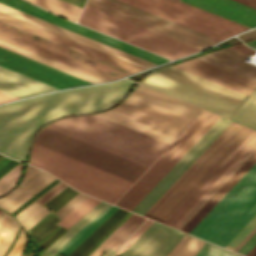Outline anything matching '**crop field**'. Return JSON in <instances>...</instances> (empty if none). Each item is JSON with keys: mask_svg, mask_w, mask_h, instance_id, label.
<instances>
[{"mask_svg": "<svg viewBox=\"0 0 256 256\" xmlns=\"http://www.w3.org/2000/svg\"><path fill=\"white\" fill-rule=\"evenodd\" d=\"M132 84L124 79L0 106V152L24 161L33 133L45 122L107 108L123 98Z\"/></svg>", "mask_w": 256, "mask_h": 256, "instance_id": "1", "label": "crop field"}, {"mask_svg": "<svg viewBox=\"0 0 256 256\" xmlns=\"http://www.w3.org/2000/svg\"><path fill=\"white\" fill-rule=\"evenodd\" d=\"M0 40L105 81L145 69L3 13Z\"/></svg>", "mask_w": 256, "mask_h": 256, "instance_id": "2", "label": "crop field"}, {"mask_svg": "<svg viewBox=\"0 0 256 256\" xmlns=\"http://www.w3.org/2000/svg\"><path fill=\"white\" fill-rule=\"evenodd\" d=\"M48 127L147 168L169 146L96 115L60 120Z\"/></svg>", "mask_w": 256, "mask_h": 256, "instance_id": "3", "label": "crop field"}, {"mask_svg": "<svg viewBox=\"0 0 256 256\" xmlns=\"http://www.w3.org/2000/svg\"><path fill=\"white\" fill-rule=\"evenodd\" d=\"M251 131L232 122L144 216L164 223Z\"/></svg>", "mask_w": 256, "mask_h": 256, "instance_id": "4", "label": "crop field"}, {"mask_svg": "<svg viewBox=\"0 0 256 256\" xmlns=\"http://www.w3.org/2000/svg\"><path fill=\"white\" fill-rule=\"evenodd\" d=\"M30 164L43 168L74 188L114 203L133 182L34 142Z\"/></svg>", "mask_w": 256, "mask_h": 256, "instance_id": "5", "label": "crop field"}, {"mask_svg": "<svg viewBox=\"0 0 256 256\" xmlns=\"http://www.w3.org/2000/svg\"><path fill=\"white\" fill-rule=\"evenodd\" d=\"M256 213V163L190 232L224 247Z\"/></svg>", "mask_w": 256, "mask_h": 256, "instance_id": "6", "label": "crop field"}, {"mask_svg": "<svg viewBox=\"0 0 256 256\" xmlns=\"http://www.w3.org/2000/svg\"><path fill=\"white\" fill-rule=\"evenodd\" d=\"M141 83L231 118L247 96L170 66Z\"/></svg>", "mask_w": 256, "mask_h": 256, "instance_id": "7", "label": "crop field"}, {"mask_svg": "<svg viewBox=\"0 0 256 256\" xmlns=\"http://www.w3.org/2000/svg\"><path fill=\"white\" fill-rule=\"evenodd\" d=\"M78 23L169 59L199 51L86 5Z\"/></svg>", "mask_w": 256, "mask_h": 256, "instance_id": "8", "label": "crop field"}, {"mask_svg": "<svg viewBox=\"0 0 256 256\" xmlns=\"http://www.w3.org/2000/svg\"><path fill=\"white\" fill-rule=\"evenodd\" d=\"M218 118L203 111L116 204L132 210Z\"/></svg>", "mask_w": 256, "mask_h": 256, "instance_id": "9", "label": "crop field"}, {"mask_svg": "<svg viewBox=\"0 0 256 256\" xmlns=\"http://www.w3.org/2000/svg\"><path fill=\"white\" fill-rule=\"evenodd\" d=\"M86 5L199 50L219 41L116 0H87Z\"/></svg>", "mask_w": 256, "mask_h": 256, "instance_id": "10", "label": "crop field"}, {"mask_svg": "<svg viewBox=\"0 0 256 256\" xmlns=\"http://www.w3.org/2000/svg\"><path fill=\"white\" fill-rule=\"evenodd\" d=\"M34 141L131 181L145 169L46 127Z\"/></svg>", "mask_w": 256, "mask_h": 256, "instance_id": "11", "label": "crop field"}, {"mask_svg": "<svg viewBox=\"0 0 256 256\" xmlns=\"http://www.w3.org/2000/svg\"><path fill=\"white\" fill-rule=\"evenodd\" d=\"M219 40L242 31L220 20L168 0H119Z\"/></svg>", "mask_w": 256, "mask_h": 256, "instance_id": "12", "label": "crop field"}, {"mask_svg": "<svg viewBox=\"0 0 256 256\" xmlns=\"http://www.w3.org/2000/svg\"><path fill=\"white\" fill-rule=\"evenodd\" d=\"M256 162V140L174 226L189 233Z\"/></svg>", "mask_w": 256, "mask_h": 256, "instance_id": "13", "label": "crop field"}, {"mask_svg": "<svg viewBox=\"0 0 256 256\" xmlns=\"http://www.w3.org/2000/svg\"><path fill=\"white\" fill-rule=\"evenodd\" d=\"M230 123L220 117L132 211L143 215Z\"/></svg>", "mask_w": 256, "mask_h": 256, "instance_id": "14", "label": "crop field"}, {"mask_svg": "<svg viewBox=\"0 0 256 256\" xmlns=\"http://www.w3.org/2000/svg\"><path fill=\"white\" fill-rule=\"evenodd\" d=\"M0 66L6 67L59 89L90 84V82L69 75L1 47Z\"/></svg>", "mask_w": 256, "mask_h": 256, "instance_id": "15", "label": "crop field"}, {"mask_svg": "<svg viewBox=\"0 0 256 256\" xmlns=\"http://www.w3.org/2000/svg\"><path fill=\"white\" fill-rule=\"evenodd\" d=\"M0 2L3 3V4L9 5L11 7H14L16 9H19L21 11H24L26 13H29L31 15L42 18L44 20H47L49 22H52L54 24H57L59 26H62V27H65L67 29H70L72 31H75L77 33H80L82 35H85L87 37L98 40L100 42H103V43L108 44L110 46H113L115 48L121 49L123 51L131 53V54L136 55L138 57H141L143 59L149 60V61L154 62L156 64H160V63L168 61V59H166V58L160 57V56L155 55L153 53H150V52H147V51L142 50L140 48L129 45L127 43L121 42V41L116 40L114 38H111L109 36L103 35L101 33L90 30L88 28L77 25L75 23L66 21L64 19H59V18L49 14L48 12H46L42 9H39L37 7L31 6V5L25 3L21 0H0Z\"/></svg>", "mask_w": 256, "mask_h": 256, "instance_id": "16", "label": "crop field"}, {"mask_svg": "<svg viewBox=\"0 0 256 256\" xmlns=\"http://www.w3.org/2000/svg\"><path fill=\"white\" fill-rule=\"evenodd\" d=\"M113 110L177 136H179V134L191 123L189 120L144 103L130 96H128L117 107L113 108Z\"/></svg>", "mask_w": 256, "mask_h": 256, "instance_id": "17", "label": "crop field"}, {"mask_svg": "<svg viewBox=\"0 0 256 256\" xmlns=\"http://www.w3.org/2000/svg\"><path fill=\"white\" fill-rule=\"evenodd\" d=\"M182 235L154 222L121 256H166Z\"/></svg>", "mask_w": 256, "mask_h": 256, "instance_id": "18", "label": "crop field"}, {"mask_svg": "<svg viewBox=\"0 0 256 256\" xmlns=\"http://www.w3.org/2000/svg\"><path fill=\"white\" fill-rule=\"evenodd\" d=\"M0 12L11 15V16L16 17L18 19H21L23 21L29 22V23L34 24L36 26L42 27V28L47 29L49 31L55 32V33L60 34L62 36L68 37V38L73 39L75 41H78L80 43L86 44L88 46H91L93 48L99 49V50L104 51L106 53L112 54V55L117 56L119 58H122L124 60L130 61V62L135 63V64L140 65V66H143L145 68L156 65V64L151 63L149 61L143 60L141 58H138L136 56H133V55L128 54L126 52H123L121 50L115 49L113 47H110L108 45H105L103 43L95 41L93 39L87 38L85 36H82L80 34H77L75 32L67 30L65 28L59 27L57 25H54L52 23H49V22L44 21L42 19H39L37 17L31 16L29 14H26L24 12H21V11L16 10L14 8H11L9 6L3 5L1 3H0Z\"/></svg>", "mask_w": 256, "mask_h": 256, "instance_id": "19", "label": "crop field"}, {"mask_svg": "<svg viewBox=\"0 0 256 256\" xmlns=\"http://www.w3.org/2000/svg\"><path fill=\"white\" fill-rule=\"evenodd\" d=\"M173 66L208 79L212 82L230 88L247 96H249L253 89L256 87L255 82L210 65L196 58Z\"/></svg>", "mask_w": 256, "mask_h": 256, "instance_id": "20", "label": "crop field"}, {"mask_svg": "<svg viewBox=\"0 0 256 256\" xmlns=\"http://www.w3.org/2000/svg\"><path fill=\"white\" fill-rule=\"evenodd\" d=\"M54 179L47 172L27 165L21 184L0 199V207L11 213Z\"/></svg>", "mask_w": 256, "mask_h": 256, "instance_id": "21", "label": "crop field"}, {"mask_svg": "<svg viewBox=\"0 0 256 256\" xmlns=\"http://www.w3.org/2000/svg\"><path fill=\"white\" fill-rule=\"evenodd\" d=\"M130 96L145 101L149 104L177 114L181 117L193 121L202 111L192 105L179 101L163 93L150 89L139 84Z\"/></svg>", "mask_w": 256, "mask_h": 256, "instance_id": "22", "label": "crop field"}, {"mask_svg": "<svg viewBox=\"0 0 256 256\" xmlns=\"http://www.w3.org/2000/svg\"><path fill=\"white\" fill-rule=\"evenodd\" d=\"M249 27L256 26V10L232 0H182Z\"/></svg>", "mask_w": 256, "mask_h": 256, "instance_id": "23", "label": "crop field"}, {"mask_svg": "<svg viewBox=\"0 0 256 256\" xmlns=\"http://www.w3.org/2000/svg\"><path fill=\"white\" fill-rule=\"evenodd\" d=\"M0 90L22 98L59 89L0 67Z\"/></svg>", "mask_w": 256, "mask_h": 256, "instance_id": "24", "label": "crop field"}, {"mask_svg": "<svg viewBox=\"0 0 256 256\" xmlns=\"http://www.w3.org/2000/svg\"><path fill=\"white\" fill-rule=\"evenodd\" d=\"M256 139V131H252L245 140L227 157V159L210 175V177L192 194V196L166 222L173 226L183 214L205 193V191L228 169V167Z\"/></svg>", "mask_w": 256, "mask_h": 256, "instance_id": "25", "label": "crop field"}, {"mask_svg": "<svg viewBox=\"0 0 256 256\" xmlns=\"http://www.w3.org/2000/svg\"><path fill=\"white\" fill-rule=\"evenodd\" d=\"M196 58L256 81V66L243 61L246 56L228 48L210 52Z\"/></svg>", "mask_w": 256, "mask_h": 256, "instance_id": "26", "label": "crop field"}, {"mask_svg": "<svg viewBox=\"0 0 256 256\" xmlns=\"http://www.w3.org/2000/svg\"><path fill=\"white\" fill-rule=\"evenodd\" d=\"M97 115L107 118L109 120H112L114 122H117L119 124H122L124 126H127L129 128H132L134 130H137L139 132H142L144 134H147L149 136H152L154 138H157L159 140H162L164 142H167L169 144H171L177 138V136L175 135H172L170 133H167L165 131H162L160 129L147 125L143 122H140L138 120H135L133 118L120 114L118 112H115L113 110H109Z\"/></svg>", "mask_w": 256, "mask_h": 256, "instance_id": "27", "label": "crop field"}, {"mask_svg": "<svg viewBox=\"0 0 256 256\" xmlns=\"http://www.w3.org/2000/svg\"><path fill=\"white\" fill-rule=\"evenodd\" d=\"M143 220L144 218L132 214L90 256H101L108 248L115 250Z\"/></svg>", "mask_w": 256, "mask_h": 256, "instance_id": "28", "label": "crop field"}, {"mask_svg": "<svg viewBox=\"0 0 256 256\" xmlns=\"http://www.w3.org/2000/svg\"><path fill=\"white\" fill-rule=\"evenodd\" d=\"M108 203L101 201L85 216L70 227L61 235L51 246H49L40 256H54L55 252L62 247L72 236H74L82 227H84L93 217H95Z\"/></svg>", "mask_w": 256, "mask_h": 256, "instance_id": "29", "label": "crop field"}, {"mask_svg": "<svg viewBox=\"0 0 256 256\" xmlns=\"http://www.w3.org/2000/svg\"><path fill=\"white\" fill-rule=\"evenodd\" d=\"M59 183H61V181ZM59 183H57L55 186H57ZM55 186H53L51 189H53ZM65 187H67V185ZM65 187H63L61 190H63ZM51 189H49L47 192H45L34 202H32L29 206H27L23 211H21L18 215L15 216L26 231L50 212L49 209L42 206L44 203L41 205L36 201L40 199L42 196H44L46 193H48ZM60 191H58L57 193H59ZM55 195H53L52 197H54Z\"/></svg>", "mask_w": 256, "mask_h": 256, "instance_id": "30", "label": "crop field"}, {"mask_svg": "<svg viewBox=\"0 0 256 256\" xmlns=\"http://www.w3.org/2000/svg\"><path fill=\"white\" fill-rule=\"evenodd\" d=\"M0 46H1V47H4V48H6V49H9V50H11V51H14V52H16V53H19V54H21V55H24V56H26V57L32 58V59H34V60H37V61H39V62H42V63H44V64H47V65H49V66H52V67H54V68H57V69H59V70H62V71H64V72H67V73H69V74H72V75H75V76L80 77V78H82V79H85V80H87V81H90V82H92V83L105 82V81L100 80V79H98V78L92 77V76H90V75H87V74L82 73V72H80V71H77V70H75V69L69 68V67H67V66H64V65H62V64H59V63L54 62V61H52V60L46 59V58H44V57H41V56L36 55V54H34V53H31V52H29V51H26V50H23V49L18 48V47H16V46H13V45H11V44H8V43H6V42L0 41Z\"/></svg>", "mask_w": 256, "mask_h": 256, "instance_id": "31", "label": "crop field"}, {"mask_svg": "<svg viewBox=\"0 0 256 256\" xmlns=\"http://www.w3.org/2000/svg\"><path fill=\"white\" fill-rule=\"evenodd\" d=\"M61 16L76 21L81 7L63 0H28Z\"/></svg>", "mask_w": 256, "mask_h": 256, "instance_id": "32", "label": "crop field"}, {"mask_svg": "<svg viewBox=\"0 0 256 256\" xmlns=\"http://www.w3.org/2000/svg\"><path fill=\"white\" fill-rule=\"evenodd\" d=\"M249 98L234 115L232 120L256 129V89L251 93Z\"/></svg>", "mask_w": 256, "mask_h": 256, "instance_id": "33", "label": "crop field"}, {"mask_svg": "<svg viewBox=\"0 0 256 256\" xmlns=\"http://www.w3.org/2000/svg\"><path fill=\"white\" fill-rule=\"evenodd\" d=\"M205 241L184 234L167 256H195Z\"/></svg>", "mask_w": 256, "mask_h": 256, "instance_id": "34", "label": "crop field"}, {"mask_svg": "<svg viewBox=\"0 0 256 256\" xmlns=\"http://www.w3.org/2000/svg\"><path fill=\"white\" fill-rule=\"evenodd\" d=\"M119 209H120V208H119ZM119 209H118V210H119ZM118 210H116L114 213H116ZM125 212H126V210L120 209L115 215H113V214H114V213H113V214H112L113 216H112V215H111L112 217L110 216L111 218L108 217V218L104 221V222H106V221L110 218L106 223L103 222L104 224L102 223L103 225L101 224L102 226L100 225L101 227L99 226L100 228L98 227L99 229L97 228L98 230H96L95 232L93 231V232H94L95 234L101 236V235H102L115 221H117ZM127 212H128V211H127ZM127 212H126V213H127ZM126 213H125V214H126ZM125 214H124V215H125ZM124 215H123V216H124ZM123 216H122V217H123ZM114 224H115V223H114ZM114 224H113V225H114ZM113 225H112V226H113ZM112 226H111V227H112ZM111 227H110V228H111ZM110 228H109V229H110ZM109 229H108V230H109ZM95 234L92 235V233H91L89 236H91V235H92V236H91V237L88 236L89 238L87 237L88 239L86 238L87 240L85 239L86 241L84 240L85 242L83 241L84 243L82 242L83 244L81 243L82 245L80 244L81 246L79 245L80 247L78 246L79 248L77 247L78 249L76 248L77 250L75 249L76 251L74 250L75 252L73 251L74 253L72 252L73 254L71 253L72 255H70V256H80V255H81L98 237H99V236H97V235H95ZM98 239H99V238H98ZM98 239H97V240H98ZM97 240H96V241H97ZM95 243H96V242H95ZM95 243H94V244H95ZM82 255H83V254H82ZM82 255H81V256H82Z\"/></svg>", "mask_w": 256, "mask_h": 256, "instance_id": "35", "label": "crop field"}, {"mask_svg": "<svg viewBox=\"0 0 256 256\" xmlns=\"http://www.w3.org/2000/svg\"><path fill=\"white\" fill-rule=\"evenodd\" d=\"M99 202L100 200L89 197L80 206L61 219L57 225L64 226L68 229Z\"/></svg>", "mask_w": 256, "mask_h": 256, "instance_id": "36", "label": "crop field"}, {"mask_svg": "<svg viewBox=\"0 0 256 256\" xmlns=\"http://www.w3.org/2000/svg\"><path fill=\"white\" fill-rule=\"evenodd\" d=\"M117 207H112L105 214H103L98 220H96L91 226H89L84 232H82L71 244H69L61 254L67 256L89 233H91L100 223H102Z\"/></svg>", "mask_w": 256, "mask_h": 256, "instance_id": "37", "label": "crop field"}, {"mask_svg": "<svg viewBox=\"0 0 256 256\" xmlns=\"http://www.w3.org/2000/svg\"><path fill=\"white\" fill-rule=\"evenodd\" d=\"M22 164H18L11 171H9L6 175L0 178V195L8 191L17 181Z\"/></svg>", "mask_w": 256, "mask_h": 256, "instance_id": "38", "label": "crop field"}, {"mask_svg": "<svg viewBox=\"0 0 256 256\" xmlns=\"http://www.w3.org/2000/svg\"><path fill=\"white\" fill-rule=\"evenodd\" d=\"M196 256H241L231 251L225 250L208 242L201 248Z\"/></svg>", "mask_w": 256, "mask_h": 256, "instance_id": "39", "label": "crop field"}, {"mask_svg": "<svg viewBox=\"0 0 256 256\" xmlns=\"http://www.w3.org/2000/svg\"><path fill=\"white\" fill-rule=\"evenodd\" d=\"M255 226L256 215L235 235L225 248L233 250Z\"/></svg>", "mask_w": 256, "mask_h": 256, "instance_id": "40", "label": "crop field"}, {"mask_svg": "<svg viewBox=\"0 0 256 256\" xmlns=\"http://www.w3.org/2000/svg\"><path fill=\"white\" fill-rule=\"evenodd\" d=\"M152 223L153 221L147 219L113 256L121 255Z\"/></svg>", "mask_w": 256, "mask_h": 256, "instance_id": "41", "label": "crop field"}, {"mask_svg": "<svg viewBox=\"0 0 256 256\" xmlns=\"http://www.w3.org/2000/svg\"><path fill=\"white\" fill-rule=\"evenodd\" d=\"M68 187H69V186H68ZM68 187H67V188H68ZM67 188H65V189H67ZM65 189H64V190H65ZM64 190H63V191H64ZM71 190H72V188L70 187V188H68V189H67L66 191H64V192L61 191V192H63V193L60 192V193H61V194L59 193L60 195H59V194L56 195V196L59 195L57 198H55L56 196L54 197L55 199L52 198L50 201H52L53 199H54V200H53L51 203H49L50 201H48L46 204H48V203H49V204H48L46 207L49 208L51 205H53L55 202H57L59 199H61L63 196H65V195H66L69 191H71ZM75 192H77V191H75V190L73 189L71 192H69L65 197H63L61 200H59L57 203H55V204H54L53 206H51L49 209L53 211L58 205H60L64 200H66L68 197H70V196H71L72 194H74ZM76 194H78V192L75 193L74 195H72L70 198H68V199H67L65 202H63L60 206H58V207L54 210V212H55L56 210H58L61 206H63L66 202H68L71 198H73ZM46 204H44V206H45Z\"/></svg>", "mask_w": 256, "mask_h": 256, "instance_id": "42", "label": "crop field"}, {"mask_svg": "<svg viewBox=\"0 0 256 256\" xmlns=\"http://www.w3.org/2000/svg\"><path fill=\"white\" fill-rule=\"evenodd\" d=\"M86 198H87V196L79 193L78 195H76L73 199H71L68 203H66L63 207H61L55 213L58 214L60 216V218H62L67 213H69L71 210H73L75 207H77L79 204H81Z\"/></svg>", "mask_w": 256, "mask_h": 256, "instance_id": "43", "label": "crop field"}, {"mask_svg": "<svg viewBox=\"0 0 256 256\" xmlns=\"http://www.w3.org/2000/svg\"><path fill=\"white\" fill-rule=\"evenodd\" d=\"M19 224L17 223V221L14 219L9 231L7 232L2 244L0 245V256L3 255V253L6 251V249L8 248V246L10 245V243L12 242L18 228H19Z\"/></svg>", "mask_w": 256, "mask_h": 256, "instance_id": "44", "label": "crop field"}, {"mask_svg": "<svg viewBox=\"0 0 256 256\" xmlns=\"http://www.w3.org/2000/svg\"><path fill=\"white\" fill-rule=\"evenodd\" d=\"M24 245H25V233L22 230V232H21V234H20V236H19L15 246L13 247L11 252L8 254V256H20Z\"/></svg>", "mask_w": 256, "mask_h": 256, "instance_id": "45", "label": "crop field"}, {"mask_svg": "<svg viewBox=\"0 0 256 256\" xmlns=\"http://www.w3.org/2000/svg\"><path fill=\"white\" fill-rule=\"evenodd\" d=\"M112 205H108L103 209L94 219H92L84 228H82L73 238H71L62 248H60L56 253L59 254L69 243H71L83 230H85L89 225H91L96 219H98L103 213H105ZM84 232V231H83Z\"/></svg>", "mask_w": 256, "mask_h": 256, "instance_id": "46", "label": "crop field"}, {"mask_svg": "<svg viewBox=\"0 0 256 256\" xmlns=\"http://www.w3.org/2000/svg\"><path fill=\"white\" fill-rule=\"evenodd\" d=\"M256 244V233L246 242V244L238 251L245 255Z\"/></svg>", "mask_w": 256, "mask_h": 256, "instance_id": "47", "label": "crop field"}, {"mask_svg": "<svg viewBox=\"0 0 256 256\" xmlns=\"http://www.w3.org/2000/svg\"><path fill=\"white\" fill-rule=\"evenodd\" d=\"M245 46L243 44H240V45H236V46H232V47H228V48H230L232 50H235V51H237L239 53H242V54H244L246 56L248 54H250V55L254 54V52H255L254 50H251V49H249V48H247Z\"/></svg>", "mask_w": 256, "mask_h": 256, "instance_id": "48", "label": "crop field"}, {"mask_svg": "<svg viewBox=\"0 0 256 256\" xmlns=\"http://www.w3.org/2000/svg\"><path fill=\"white\" fill-rule=\"evenodd\" d=\"M177 3L182 4V5H184V6H187V7H189V8L195 9V10H197V11H200V12H202V13H205V14H207V15H210V16H212V17H215V18H217V19H220V20H222V21H225V22H227V23L233 24V25L238 26V27H240V28H243V29H245V30L248 29V28H246V27L240 26V25H238V24H235V23L230 22V21H228V20L222 19V18L217 17V16H215V15H212V14H210V13L204 12V11L199 10V9H197V8H194V7H192V6H189V5H186V4H184V3H181V2H179V1H177Z\"/></svg>", "mask_w": 256, "mask_h": 256, "instance_id": "49", "label": "crop field"}, {"mask_svg": "<svg viewBox=\"0 0 256 256\" xmlns=\"http://www.w3.org/2000/svg\"><path fill=\"white\" fill-rule=\"evenodd\" d=\"M65 185L66 184H64L62 182L57 187H55L53 190H51L48 194H46L44 197H42L40 200H38L37 202L42 204L43 202H45L48 198H50L53 194H55L58 190H60Z\"/></svg>", "mask_w": 256, "mask_h": 256, "instance_id": "50", "label": "crop field"}, {"mask_svg": "<svg viewBox=\"0 0 256 256\" xmlns=\"http://www.w3.org/2000/svg\"><path fill=\"white\" fill-rule=\"evenodd\" d=\"M238 37H239L242 41L256 38V29H253V30H251V31L245 32V33H243V34H240Z\"/></svg>", "mask_w": 256, "mask_h": 256, "instance_id": "51", "label": "crop field"}, {"mask_svg": "<svg viewBox=\"0 0 256 256\" xmlns=\"http://www.w3.org/2000/svg\"><path fill=\"white\" fill-rule=\"evenodd\" d=\"M19 162L12 160L9 162L7 165H5L1 170H0V177L3 176L5 173H7L10 169H12L16 164Z\"/></svg>", "mask_w": 256, "mask_h": 256, "instance_id": "52", "label": "crop field"}, {"mask_svg": "<svg viewBox=\"0 0 256 256\" xmlns=\"http://www.w3.org/2000/svg\"><path fill=\"white\" fill-rule=\"evenodd\" d=\"M14 99H18V98L0 91V103L14 100Z\"/></svg>", "mask_w": 256, "mask_h": 256, "instance_id": "53", "label": "crop field"}, {"mask_svg": "<svg viewBox=\"0 0 256 256\" xmlns=\"http://www.w3.org/2000/svg\"><path fill=\"white\" fill-rule=\"evenodd\" d=\"M13 219H14V218H12V217L10 216L8 222L6 223L4 229L2 230V232H1V234H0V243L2 242V240H3V238H4L5 234H6V232L8 231V229H9V227H10V225H11Z\"/></svg>", "mask_w": 256, "mask_h": 256, "instance_id": "54", "label": "crop field"}, {"mask_svg": "<svg viewBox=\"0 0 256 256\" xmlns=\"http://www.w3.org/2000/svg\"><path fill=\"white\" fill-rule=\"evenodd\" d=\"M56 180H57V179H56ZM56 180H55V181H56ZM55 181H53L52 183H54ZM57 182H59V180H58ZM57 182H56V183H57ZM52 183H51V184H52ZM56 183H54L53 185H55ZM51 184H49L48 186H50ZM53 185H52V186H53ZM48 186H47V187H48ZM52 186H51V187H52ZM47 187H45L44 189H46ZM51 187H50V188H51ZM44 189H43V190H44ZM48 189H49V188H48ZM48 189H47V190H48ZM43 190H41L39 193H41ZM47 190H46V191H47ZM43 192H44V191H43ZM39 193H37V195H38ZM42 194H43V193H42ZM37 195H36V196H37ZM36 196H34V197H36ZM38 197H39V196H38ZM32 199H33V197H32L31 199H29L27 202H25V203H24L22 206H20L18 209H16L14 212H12L11 214L13 215L14 213H16L18 210H20L24 205H26V204H27L29 201H31ZM35 199H36V198H35ZM35 199H34V200H35ZM34 200H33V201H34ZM31 202H32V201H31ZM31 202H30V203H31ZM30 203H29V204H30ZM29 204H28V205H29ZM25 207H26V206H25ZM25 207H24V208H25ZM24 208H23V209H24ZM23 209H22V210H23ZM19 212H20V211H19ZM19 212H18V213H19ZM18 213H17V214H18ZM14 216H15V215H14Z\"/></svg>", "mask_w": 256, "mask_h": 256, "instance_id": "55", "label": "crop field"}, {"mask_svg": "<svg viewBox=\"0 0 256 256\" xmlns=\"http://www.w3.org/2000/svg\"><path fill=\"white\" fill-rule=\"evenodd\" d=\"M61 228H62V227H61ZM62 229L67 230L66 228H62ZM59 230H60V229H59ZM59 230H58V231H59ZM65 230H63V231L60 230L59 232L57 231L58 233L56 232L57 234L55 233V234H56V235L54 234L55 236H57L61 231H62V232H61L57 237H55V236L53 235V236L55 237V238H54V237L52 236L54 239H53L52 237H50L49 239H47L46 241L50 240L51 238L53 239V240L51 239L52 241L50 240L51 242L48 241V242H50L49 244H47L48 242L45 241L46 243L43 242V243H45V244L42 243V244H43L42 246H40V245H41V244H40V245H39L40 247H38V246H37V247L40 249V248H42L43 246H45L46 244H47V247H48V246H49L53 241H55ZM47 247H46V248H47ZM46 248H45V249H46Z\"/></svg>", "mask_w": 256, "mask_h": 256, "instance_id": "56", "label": "crop field"}, {"mask_svg": "<svg viewBox=\"0 0 256 256\" xmlns=\"http://www.w3.org/2000/svg\"><path fill=\"white\" fill-rule=\"evenodd\" d=\"M249 7L256 9V0H234Z\"/></svg>", "mask_w": 256, "mask_h": 256, "instance_id": "57", "label": "crop field"}, {"mask_svg": "<svg viewBox=\"0 0 256 256\" xmlns=\"http://www.w3.org/2000/svg\"><path fill=\"white\" fill-rule=\"evenodd\" d=\"M255 232L256 227L245 237V239L234 249V251L237 252Z\"/></svg>", "mask_w": 256, "mask_h": 256, "instance_id": "58", "label": "crop field"}, {"mask_svg": "<svg viewBox=\"0 0 256 256\" xmlns=\"http://www.w3.org/2000/svg\"><path fill=\"white\" fill-rule=\"evenodd\" d=\"M66 1H68V2H71V3H74V4H76V5H79V6H83V4H84V2H85V0H66ZM73 4V5H74ZM78 6V7H79Z\"/></svg>", "mask_w": 256, "mask_h": 256, "instance_id": "59", "label": "crop field"}, {"mask_svg": "<svg viewBox=\"0 0 256 256\" xmlns=\"http://www.w3.org/2000/svg\"><path fill=\"white\" fill-rule=\"evenodd\" d=\"M249 256H256V245L247 253Z\"/></svg>", "mask_w": 256, "mask_h": 256, "instance_id": "60", "label": "crop field"}, {"mask_svg": "<svg viewBox=\"0 0 256 256\" xmlns=\"http://www.w3.org/2000/svg\"><path fill=\"white\" fill-rule=\"evenodd\" d=\"M113 250L108 249L102 256H109Z\"/></svg>", "mask_w": 256, "mask_h": 256, "instance_id": "61", "label": "crop field"}, {"mask_svg": "<svg viewBox=\"0 0 256 256\" xmlns=\"http://www.w3.org/2000/svg\"><path fill=\"white\" fill-rule=\"evenodd\" d=\"M4 215H5V212L2 211V213L0 214V223H1V221H2V219H3V217H4Z\"/></svg>", "mask_w": 256, "mask_h": 256, "instance_id": "62", "label": "crop field"}, {"mask_svg": "<svg viewBox=\"0 0 256 256\" xmlns=\"http://www.w3.org/2000/svg\"><path fill=\"white\" fill-rule=\"evenodd\" d=\"M248 46L252 47V48H255L256 49V46L255 45H252L250 43H246Z\"/></svg>", "mask_w": 256, "mask_h": 256, "instance_id": "63", "label": "crop field"}, {"mask_svg": "<svg viewBox=\"0 0 256 256\" xmlns=\"http://www.w3.org/2000/svg\"><path fill=\"white\" fill-rule=\"evenodd\" d=\"M4 156L0 154V159H2Z\"/></svg>", "mask_w": 256, "mask_h": 256, "instance_id": "64", "label": "crop field"}, {"mask_svg": "<svg viewBox=\"0 0 256 256\" xmlns=\"http://www.w3.org/2000/svg\"><path fill=\"white\" fill-rule=\"evenodd\" d=\"M250 43H252V44H255V45H256V41H254V42H250Z\"/></svg>", "mask_w": 256, "mask_h": 256, "instance_id": "65", "label": "crop field"}, {"mask_svg": "<svg viewBox=\"0 0 256 256\" xmlns=\"http://www.w3.org/2000/svg\"><path fill=\"white\" fill-rule=\"evenodd\" d=\"M172 1H174V2H175V1H177V0H172Z\"/></svg>", "mask_w": 256, "mask_h": 256, "instance_id": "66", "label": "crop field"}, {"mask_svg": "<svg viewBox=\"0 0 256 256\" xmlns=\"http://www.w3.org/2000/svg\"><path fill=\"white\" fill-rule=\"evenodd\" d=\"M0 213H1V210H0Z\"/></svg>", "mask_w": 256, "mask_h": 256, "instance_id": "67", "label": "crop field"}]
</instances>
